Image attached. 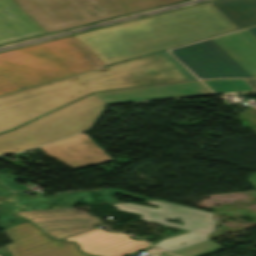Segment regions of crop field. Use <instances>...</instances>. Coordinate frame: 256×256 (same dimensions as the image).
<instances>
[{
	"label": "crop field",
	"instance_id": "crop-field-1",
	"mask_svg": "<svg viewBox=\"0 0 256 256\" xmlns=\"http://www.w3.org/2000/svg\"><path fill=\"white\" fill-rule=\"evenodd\" d=\"M212 5L1 53L0 95L238 29Z\"/></svg>",
	"mask_w": 256,
	"mask_h": 256
},
{
	"label": "crop field",
	"instance_id": "crop-field-2",
	"mask_svg": "<svg viewBox=\"0 0 256 256\" xmlns=\"http://www.w3.org/2000/svg\"><path fill=\"white\" fill-rule=\"evenodd\" d=\"M174 59L164 51L0 97V133L91 92L197 80Z\"/></svg>",
	"mask_w": 256,
	"mask_h": 256
},
{
	"label": "crop field",
	"instance_id": "crop-field-3",
	"mask_svg": "<svg viewBox=\"0 0 256 256\" xmlns=\"http://www.w3.org/2000/svg\"><path fill=\"white\" fill-rule=\"evenodd\" d=\"M170 52L200 79H256V37L247 29Z\"/></svg>",
	"mask_w": 256,
	"mask_h": 256
},
{
	"label": "crop field",
	"instance_id": "crop-field-4",
	"mask_svg": "<svg viewBox=\"0 0 256 256\" xmlns=\"http://www.w3.org/2000/svg\"><path fill=\"white\" fill-rule=\"evenodd\" d=\"M147 204L159 206V209L134 205L130 203L112 204L121 211L142 215V220L156 222L161 225L181 228L189 233L161 241L154 246L158 249L172 252L179 256H203L215 252L223 247L213 243L207 236L214 231L216 221L212 220V213L185 208L161 201H147ZM180 217L182 220L174 218ZM165 219L184 222L179 225L164 221ZM181 243H185L181 245Z\"/></svg>",
	"mask_w": 256,
	"mask_h": 256
},
{
	"label": "crop field",
	"instance_id": "crop-field-5",
	"mask_svg": "<svg viewBox=\"0 0 256 256\" xmlns=\"http://www.w3.org/2000/svg\"><path fill=\"white\" fill-rule=\"evenodd\" d=\"M94 95L12 132L0 135V154L18 152L74 135L90 127L105 108Z\"/></svg>",
	"mask_w": 256,
	"mask_h": 256
},
{
	"label": "crop field",
	"instance_id": "crop-field-6",
	"mask_svg": "<svg viewBox=\"0 0 256 256\" xmlns=\"http://www.w3.org/2000/svg\"><path fill=\"white\" fill-rule=\"evenodd\" d=\"M13 1L47 33L124 14L117 0Z\"/></svg>",
	"mask_w": 256,
	"mask_h": 256
},
{
	"label": "crop field",
	"instance_id": "crop-field-7",
	"mask_svg": "<svg viewBox=\"0 0 256 256\" xmlns=\"http://www.w3.org/2000/svg\"><path fill=\"white\" fill-rule=\"evenodd\" d=\"M114 194L131 196L144 201L154 200L144 196L134 195L127 193L126 191L115 189L57 193L54 197L30 198L22 192L12 193L0 185V208L11 212H20L29 210L72 207L75 204L99 205L118 202L113 196ZM18 223H21L20 220H16L7 212L0 210L1 228L6 229Z\"/></svg>",
	"mask_w": 256,
	"mask_h": 256
},
{
	"label": "crop field",
	"instance_id": "crop-field-8",
	"mask_svg": "<svg viewBox=\"0 0 256 256\" xmlns=\"http://www.w3.org/2000/svg\"><path fill=\"white\" fill-rule=\"evenodd\" d=\"M4 232L14 242L6 245L12 256H86L77 250L74 243L53 240L29 222Z\"/></svg>",
	"mask_w": 256,
	"mask_h": 256
},
{
	"label": "crop field",
	"instance_id": "crop-field-9",
	"mask_svg": "<svg viewBox=\"0 0 256 256\" xmlns=\"http://www.w3.org/2000/svg\"><path fill=\"white\" fill-rule=\"evenodd\" d=\"M49 157L77 170L113 158L85 133L40 147Z\"/></svg>",
	"mask_w": 256,
	"mask_h": 256
},
{
	"label": "crop field",
	"instance_id": "crop-field-10",
	"mask_svg": "<svg viewBox=\"0 0 256 256\" xmlns=\"http://www.w3.org/2000/svg\"><path fill=\"white\" fill-rule=\"evenodd\" d=\"M211 94L199 82L169 84L134 90L113 91L95 94L106 105L120 102L166 99L171 97Z\"/></svg>",
	"mask_w": 256,
	"mask_h": 256
},
{
	"label": "crop field",
	"instance_id": "crop-field-11",
	"mask_svg": "<svg viewBox=\"0 0 256 256\" xmlns=\"http://www.w3.org/2000/svg\"><path fill=\"white\" fill-rule=\"evenodd\" d=\"M45 34L12 0H0V45Z\"/></svg>",
	"mask_w": 256,
	"mask_h": 256
},
{
	"label": "crop field",
	"instance_id": "crop-field-12",
	"mask_svg": "<svg viewBox=\"0 0 256 256\" xmlns=\"http://www.w3.org/2000/svg\"><path fill=\"white\" fill-rule=\"evenodd\" d=\"M211 4L239 28L256 24V0H220Z\"/></svg>",
	"mask_w": 256,
	"mask_h": 256
},
{
	"label": "crop field",
	"instance_id": "crop-field-13",
	"mask_svg": "<svg viewBox=\"0 0 256 256\" xmlns=\"http://www.w3.org/2000/svg\"><path fill=\"white\" fill-rule=\"evenodd\" d=\"M34 224L60 240L92 229L94 228L93 225H102L99 218L86 220H63Z\"/></svg>",
	"mask_w": 256,
	"mask_h": 256
},
{
	"label": "crop field",
	"instance_id": "crop-field-14",
	"mask_svg": "<svg viewBox=\"0 0 256 256\" xmlns=\"http://www.w3.org/2000/svg\"><path fill=\"white\" fill-rule=\"evenodd\" d=\"M124 236L120 239L85 250L89 254L101 256H126L136 251L151 247L143 241H134Z\"/></svg>",
	"mask_w": 256,
	"mask_h": 256
},
{
	"label": "crop field",
	"instance_id": "crop-field-15",
	"mask_svg": "<svg viewBox=\"0 0 256 256\" xmlns=\"http://www.w3.org/2000/svg\"><path fill=\"white\" fill-rule=\"evenodd\" d=\"M15 214L31 222H45V221H55V220H63V219L94 218L87 214H76L72 212L71 208L20 212Z\"/></svg>",
	"mask_w": 256,
	"mask_h": 256
},
{
	"label": "crop field",
	"instance_id": "crop-field-16",
	"mask_svg": "<svg viewBox=\"0 0 256 256\" xmlns=\"http://www.w3.org/2000/svg\"><path fill=\"white\" fill-rule=\"evenodd\" d=\"M124 235L125 234L109 233L107 231L98 230L97 228H94L92 230L75 235L65 240L75 241L79 244L82 250H85L90 247L120 238Z\"/></svg>",
	"mask_w": 256,
	"mask_h": 256
},
{
	"label": "crop field",
	"instance_id": "crop-field-17",
	"mask_svg": "<svg viewBox=\"0 0 256 256\" xmlns=\"http://www.w3.org/2000/svg\"><path fill=\"white\" fill-rule=\"evenodd\" d=\"M214 93L255 91L243 80L203 81Z\"/></svg>",
	"mask_w": 256,
	"mask_h": 256
},
{
	"label": "crop field",
	"instance_id": "crop-field-18",
	"mask_svg": "<svg viewBox=\"0 0 256 256\" xmlns=\"http://www.w3.org/2000/svg\"><path fill=\"white\" fill-rule=\"evenodd\" d=\"M183 0H118L125 14L159 7Z\"/></svg>",
	"mask_w": 256,
	"mask_h": 256
},
{
	"label": "crop field",
	"instance_id": "crop-field-19",
	"mask_svg": "<svg viewBox=\"0 0 256 256\" xmlns=\"http://www.w3.org/2000/svg\"><path fill=\"white\" fill-rule=\"evenodd\" d=\"M4 171V170H3ZM8 171L7 173H5L4 175L0 174V182L2 184H4L5 186L9 187L10 189H12L13 191H20L21 189H19L17 186L11 184L10 182L17 180L19 178L13 177L12 175H10V170H6ZM2 171H0L1 173ZM9 176L10 178L6 177Z\"/></svg>",
	"mask_w": 256,
	"mask_h": 256
},
{
	"label": "crop field",
	"instance_id": "crop-field-20",
	"mask_svg": "<svg viewBox=\"0 0 256 256\" xmlns=\"http://www.w3.org/2000/svg\"><path fill=\"white\" fill-rule=\"evenodd\" d=\"M247 181L256 188V173L249 176Z\"/></svg>",
	"mask_w": 256,
	"mask_h": 256
},
{
	"label": "crop field",
	"instance_id": "crop-field-21",
	"mask_svg": "<svg viewBox=\"0 0 256 256\" xmlns=\"http://www.w3.org/2000/svg\"><path fill=\"white\" fill-rule=\"evenodd\" d=\"M251 87L256 90V81H246Z\"/></svg>",
	"mask_w": 256,
	"mask_h": 256
},
{
	"label": "crop field",
	"instance_id": "crop-field-22",
	"mask_svg": "<svg viewBox=\"0 0 256 256\" xmlns=\"http://www.w3.org/2000/svg\"><path fill=\"white\" fill-rule=\"evenodd\" d=\"M248 30L256 36V27L248 28Z\"/></svg>",
	"mask_w": 256,
	"mask_h": 256
},
{
	"label": "crop field",
	"instance_id": "crop-field-23",
	"mask_svg": "<svg viewBox=\"0 0 256 256\" xmlns=\"http://www.w3.org/2000/svg\"><path fill=\"white\" fill-rule=\"evenodd\" d=\"M162 256H173V255H170V254H166V255H162Z\"/></svg>",
	"mask_w": 256,
	"mask_h": 256
}]
</instances>
